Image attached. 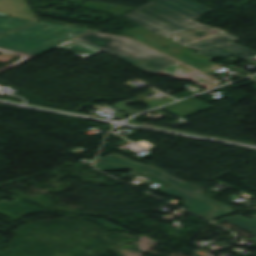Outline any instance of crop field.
<instances>
[{"mask_svg":"<svg viewBox=\"0 0 256 256\" xmlns=\"http://www.w3.org/2000/svg\"><path fill=\"white\" fill-rule=\"evenodd\" d=\"M210 10L191 0H156L124 16L163 37H174L175 42L197 49L208 58L233 56L248 61L246 57L256 54L230 42L235 38L226 32L192 21Z\"/></svg>","mask_w":256,"mask_h":256,"instance_id":"8a807250","label":"crop field"},{"mask_svg":"<svg viewBox=\"0 0 256 256\" xmlns=\"http://www.w3.org/2000/svg\"><path fill=\"white\" fill-rule=\"evenodd\" d=\"M58 48L75 53L84 59L105 50L145 72L154 73L159 71L178 78L186 77L212 87L219 83V81L209 76L126 37L105 35L92 31L78 38V41L72 40L67 45H61Z\"/></svg>","mask_w":256,"mask_h":256,"instance_id":"ac0d7876","label":"crop field"},{"mask_svg":"<svg viewBox=\"0 0 256 256\" xmlns=\"http://www.w3.org/2000/svg\"><path fill=\"white\" fill-rule=\"evenodd\" d=\"M89 29L39 22L0 38V49L41 55Z\"/></svg>","mask_w":256,"mask_h":256,"instance_id":"34b2d1b8","label":"crop field"},{"mask_svg":"<svg viewBox=\"0 0 256 256\" xmlns=\"http://www.w3.org/2000/svg\"><path fill=\"white\" fill-rule=\"evenodd\" d=\"M123 35L132 37L180 62H183L196 69H199L205 73H208L212 70H215L217 68L224 66L222 64H214L210 62L208 58L190 49H187L175 42H172L166 38H163L157 34H154L149 30L140 26L124 33ZM163 45L171 48V50L168 51L162 48L161 46Z\"/></svg>","mask_w":256,"mask_h":256,"instance_id":"412701ff","label":"crop field"},{"mask_svg":"<svg viewBox=\"0 0 256 256\" xmlns=\"http://www.w3.org/2000/svg\"><path fill=\"white\" fill-rule=\"evenodd\" d=\"M99 161H104V162H109V163H114V164H119V165H124V166H129V167H135V168H140V169H143L167 182H169L170 184L188 192V193H191L195 196H198L204 200H207L219 207H222L224 206L223 204L207 197V196H204V190L198 188V187H195L193 185H190L186 182H182L164 172H162L161 170L159 169H156L154 167H151L149 165H140V164H137V163H134L124 157H121V156H118V155H110L108 157H105V158H101V157H98ZM163 174H166L165 176H163ZM195 191H198L199 193L195 192Z\"/></svg>","mask_w":256,"mask_h":256,"instance_id":"f4fd0767","label":"crop field"},{"mask_svg":"<svg viewBox=\"0 0 256 256\" xmlns=\"http://www.w3.org/2000/svg\"><path fill=\"white\" fill-rule=\"evenodd\" d=\"M164 193L172 196V197H182L184 199L185 206L193 213L197 215H201L208 211L216 209L215 206L206 203L200 199H197L193 196H190L174 187L166 189L163 191Z\"/></svg>","mask_w":256,"mask_h":256,"instance_id":"dd49c442","label":"crop field"},{"mask_svg":"<svg viewBox=\"0 0 256 256\" xmlns=\"http://www.w3.org/2000/svg\"><path fill=\"white\" fill-rule=\"evenodd\" d=\"M212 108L194 98L166 107L171 112H179L181 117Z\"/></svg>","mask_w":256,"mask_h":256,"instance_id":"e52e79f7","label":"crop field"},{"mask_svg":"<svg viewBox=\"0 0 256 256\" xmlns=\"http://www.w3.org/2000/svg\"><path fill=\"white\" fill-rule=\"evenodd\" d=\"M33 23L35 21L0 15V33L6 34Z\"/></svg>","mask_w":256,"mask_h":256,"instance_id":"d8731c3e","label":"crop field"},{"mask_svg":"<svg viewBox=\"0 0 256 256\" xmlns=\"http://www.w3.org/2000/svg\"><path fill=\"white\" fill-rule=\"evenodd\" d=\"M225 221H228L234 225H237L241 228H244V229L256 234V217L252 220H249L240 215H237L234 217L224 218V219L215 221L214 223L219 224V223H222ZM254 239L256 240V238H254Z\"/></svg>","mask_w":256,"mask_h":256,"instance_id":"5a996713","label":"crop field"},{"mask_svg":"<svg viewBox=\"0 0 256 256\" xmlns=\"http://www.w3.org/2000/svg\"><path fill=\"white\" fill-rule=\"evenodd\" d=\"M82 6L87 7V8L96 9V10L111 12L117 16H120L122 13L129 12V11L133 10V8L99 4V3L87 2V1H84Z\"/></svg>","mask_w":256,"mask_h":256,"instance_id":"3316defc","label":"crop field"},{"mask_svg":"<svg viewBox=\"0 0 256 256\" xmlns=\"http://www.w3.org/2000/svg\"><path fill=\"white\" fill-rule=\"evenodd\" d=\"M95 166H96V168H98V169H100L102 171H118V170L130 169V170L142 173V174L145 173V172H141V171H139L137 169L121 167V166L112 165V164H108V163H104V162H99V161H96Z\"/></svg>","mask_w":256,"mask_h":256,"instance_id":"28ad6ade","label":"crop field"},{"mask_svg":"<svg viewBox=\"0 0 256 256\" xmlns=\"http://www.w3.org/2000/svg\"><path fill=\"white\" fill-rule=\"evenodd\" d=\"M231 212H234L233 210L229 209L228 207L224 206L218 210H215L213 212L207 213L205 215H202L210 220H213L215 218L221 217L223 215L229 214Z\"/></svg>","mask_w":256,"mask_h":256,"instance_id":"d1516ede","label":"crop field"},{"mask_svg":"<svg viewBox=\"0 0 256 256\" xmlns=\"http://www.w3.org/2000/svg\"><path fill=\"white\" fill-rule=\"evenodd\" d=\"M254 66H256V64H253Z\"/></svg>","mask_w":256,"mask_h":256,"instance_id":"22f410ed","label":"crop field"},{"mask_svg":"<svg viewBox=\"0 0 256 256\" xmlns=\"http://www.w3.org/2000/svg\"><path fill=\"white\" fill-rule=\"evenodd\" d=\"M256 211V209H254Z\"/></svg>","mask_w":256,"mask_h":256,"instance_id":"cbeb9de0","label":"crop field"}]
</instances>
